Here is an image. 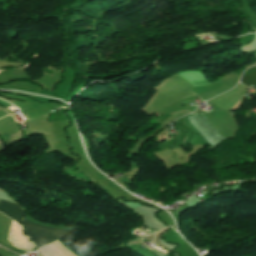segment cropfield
Here are the masks:
<instances>
[{
	"mask_svg": "<svg viewBox=\"0 0 256 256\" xmlns=\"http://www.w3.org/2000/svg\"><path fill=\"white\" fill-rule=\"evenodd\" d=\"M23 229L34 241L37 248L59 239L70 232L68 229H56L40 226L26 219L23 222Z\"/></svg>",
	"mask_w": 256,
	"mask_h": 256,
	"instance_id": "1",
	"label": "crop field"
},
{
	"mask_svg": "<svg viewBox=\"0 0 256 256\" xmlns=\"http://www.w3.org/2000/svg\"><path fill=\"white\" fill-rule=\"evenodd\" d=\"M199 118L198 114L188 117V120L195 126L196 129L204 136V138L212 145L216 146L223 138L205 119L204 115Z\"/></svg>",
	"mask_w": 256,
	"mask_h": 256,
	"instance_id": "2",
	"label": "crop field"
},
{
	"mask_svg": "<svg viewBox=\"0 0 256 256\" xmlns=\"http://www.w3.org/2000/svg\"><path fill=\"white\" fill-rule=\"evenodd\" d=\"M0 211L19 224H21L25 214L19 206L4 200L0 202Z\"/></svg>",
	"mask_w": 256,
	"mask_h": 256,
	"instance_id": "3",
	"label": "crop field"
},
{
	"mask_svg": "<svg viewBox=\"0 0 256 256\" xmlns=\"http://www.w3.org/2000/svg\"><path fill=\"white\" fill-rule=\"evenodd\" d=\"M241 82L248 86L254 85L256 88V68L252 67L248 71L244 72Z\"/></svg>",
	"mask_w": 256,
	"mask_h": 256,
	"instance_id": "4",
	"label": "crop field"
}]
</instances>
